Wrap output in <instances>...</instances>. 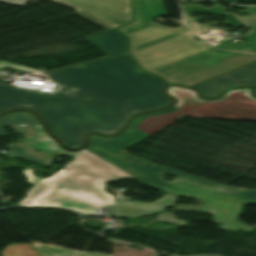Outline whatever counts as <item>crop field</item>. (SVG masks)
Instances as JSON below:
<instances>
[{"instance_id":"1","label":"crop field","mask_w":256,"mask_h":256,"mask_svg":"<svg viewBox=\"0 0 256 256\" xmlns=\"http://www.w3.org/2000/svg\"><path fill=\"white\" fill-rule=\"evenodd\" d=\"M46 74L57 83L51 93L0 84V112L37 111L70 149L83 144L86 131L112 134L130 115L171 103L161 93L166 83L142 72L126 53Z\"/></svg>"},{"instance_id":"2","label":"crop field","mask_w":256,"mask_h":256,"mask_svg":"<svg viewBox=\"0 0 256 256\" xmlns=\"http://www.w3.org/2000/svg\"><path fill=\"white\" fill-rule=\"evenodd\" d=\"M136 21L120 30L131 39V54L145 68L169 82L187 86L256 60V33L247 44L215 47L195 40L185 27L156 24L166 15L162 0H135Z\"/></svg>"},{"instance_id":"3","label":"crop field","mask_w":256,"mask_h":256,"mask_svg":"<svg viewBox=\"0 0 256 256\" xmlns=\"http://www.w3.org/2000/svg\"><path fill=\"white\" fill-rule=\"evenodd\" d=\"M177 109L173 106L164 111L138 116L126 131L112 139L91 135V143L86 149L132 174L139 181L150 184L164 192L205 200L201 208L180 206L176 209L214 214L213 222L223 223L224 225L221 228L224 229L251 230L250 227L236 223L234 220L244 203H256V190H245L217 184L157 166L149 161L124 153L126 148L150 136L136 129L144 118L166 114ZM160 172L168 173L177 178L171 182L162 181L156 177Z\"/></svg>"},{"instance_id":"4","label":"crop field","mask_w":256,"mask_h":256,"mask_svg":"<svg viewBox=\"0 0 256 256\" xmlns=\"http://www.w3.org/2000/svg\"><path fill=\"white\" fill-rule=\"evenodd\" d=\"M48 179H39L19 205H48L96 215L100 207L113 204L114 196L105 192V182L132 176L87 150Z\"/></svg>"},{"instance_id":"5","label":"crop field","mask_w":256,"mask_h":256,"mask_svg":"<svg viewBox=\"0 0 256 256\" xmlns=\"http://www.w3.org/2000/svg\"><path fill=\"white\" fill-rule=\"evenodd\" d=\"M76 9V15L108 30L132 21L130 0H53Z\"/></svg>"},{"instance_id":"6","label":"crop field","mask_w":256,"mask_h":256,"mask_svg":"<svg viewBox=\"0 0 256 256\" xmlns=\"http://www.w3.org/2000/svg\"><path fill=\"white\" fill-rule=\"evenodd\" d=\"M189 115L256 120V99L249 96L248 88L232 89L221 99L211 101Z\"/></svg>"},{"instance_id":"7","label":"crop field","mask_w":256,"mask_h":256,"mask_svg":"<svg viewBox=\"0 0 256 256\" xmlns=\"http://www.w3.org/2000/svg\"><path fill=\"white\" fill-rule=\"evenodd\" d=\"M168 93L177 99L175 106L179 110L166 115L145 119L138 126V129L151 134L207 102L197 98L195 91L188 89L169 87Z\"/></svg>"},{"instance_id":"8","label":"crop field","mask_w":256,"mask_h":256,"mask_svg":"<svg viewBox=\"0 0 256 256\" xmlns=\"http://www.w3.org/2000/svg\"><path fill=\"white\" fill-rule=\"evenodd\" d=\"M249 84L256 87V62L237 70L201 82L193 87L202 91V96H217L220 91L229 86Z\"/></svg>"},{"instance_id":"9","label":"crop field","mask_w":256,"mask_h":256,"mask_svg":"<svg viewBox=\"0 0 256 256\" xmlns=\"http://www.w3.org/2000/svg\"><path fill=\"white\" fill-rule=\"evenodd\" d=\"M178 196L163 194L160 200L152 203H141L127 200L122 203L106 207L105 215L141 217L159 211L166 206H172Z\"/></svg>"},{"instance_id":"10","label":"crop field","mask_w":256,"mask_h":256,"mask_svg":"<svg viewBox=\"0 0 256 256\" xmlns=\"http://www.w3.org/2000/svg\"><path fill=\"white\" fill-rule=\"evenodd\" d=\"M183 8H184V17H185L186 23L197 34H202L206 31H208L209 26L207 24H205V25L196 24L197 21L202 20L201 17L190 19L189 14L191 11L216 14L219 16L226 17L228 19V21L226 23H224V22H218V23L232 24V25H236V26H240V27H247L239 19H237L234 16V14L225 12L224 8H222L216 4H215L214 8H205V7H202L199 5L183 6ZM212 24H215V23H212Z\"/></svg>"},{"instance_id":"11","label":"crop field","mask_w":256,"mask_h":256,"mask_svg":"<svg viewBox=\"0 0 256 256\" xmlns=\"http://www.w3.org/2000/svg\"><path fill=\"white\" fill-rule=\"evenodd\" d=\"M21 124H24L25 126H21ZM36 124H39V122L36 119L35 115L22 111H15L0 117V135L6 134L4 131L1 130V127L3 125H10L16 131L22 133L26 140H28L36 136L35 129H33L34 125Z\"/></svg>"},{"instance_id":"12","label":"crop field","mask_w":256,"mask_h":256,"mask_svg":"<svg viewBox=\"0 0 256 256\" xmlns=\"http://www.w3.org/2000/svg\"><path fill=\"white\" fill-rule=\"evenodd\" d=\"M86 38L107 56L126 51V38L116 29L86 36Z\"/></svg>"},{"instance_id":"13","label":"crop field","mask_w":256,"mask_h":256,"mask_svg":"<svg viewBox=\"0 0 256 256\" xmlns=\"http://www.w3.org/2000/svg\"><path fill=\"white\" fill-rule=\"evenodd\" d=\"M6 148L10 149V151L5 154L6 156L11 157L13 155H16L48 166L51 165L54 157L53 155L45 152L32 151L33 149H38L21 142L9 144L8 146H6Z\"/></svg>"},{"instance_id":"14","label":"crop field","mask_w":256,"mask_h":256,"mask_svg":"<svg viewBox=\"0 0 256 256\" xmlns=\"http://www.w3.org/2000/svg\"><path fill=\"white\" fill-rule=\"evenodd\" d=\"M37 136L24 142L33 147H36L42 151L48 152L53 155H75L73 152L64 151L59 145H57L43 130L41 125H36Z\"/></svg>"},{"instance_id":"15","label":"crop field","mask_w":256,"mask_h":256,"mask_svg":"<svg viewBox=\"0 0 256 256\" xmlns=\"http://www.w3.org/2000/svg\"><path fill=\"white\" fill-rule=\"evenodd\" d=\"M32 246L41 256H111L102 253L78 252L41 243L32 244Z\"/></svg>"},{"instance_id":"16","label":"crop field","mask_w":256,"mask_h":256,"mask_svg":"<svg viewBox=\"0 0 256 256\" xmlns=\"http://www.w3.org/2000/svg\"><path fill=\"white\" fill-rule=\"evenodd\" d=\"M31 248L30 244H14L4 247L0 253L2 256H40Z\"/></svg>"},{"instance_id":"17","label":"crop field","mask_w":256,"mask_h":256,"mask_svg":"<svg viewBox=\"0 0 256 256\" xmlns=\"http://www.w3.org/2000/svg\"><path fill=\"white\" fill-rule=\"evenodd\" d=\"M241 8H248L249 11H244V12H249L250 16H240L241 19L249 24L252 28L253 31H256V7H242V6H237Z\"/></svg>"},{"instance_id":"18","label":"crop field","mask_w":256,"mask_h":256,"mask_svg":"<svg viewBox=\"0 0 256 256\" xmlns=\"http://www.w3.org/2000/svg\"><path fill=\"white\" fill-rule=\"evenodd\" d=\"M156 220H164V221L176 223V224L183 225V226H185V224H186V221L176 220L174 214H167V213H163V214L159 215V217L156 218Z\"/></svg>"},{"instance_id":"19","label":"crop field","mask_w":256,"mask_h":256,"mask_svg":"<svg viewBox=\"0 0 256 256\" xmlns=\"http://www.w3.org/2000/svg\"><path fill=\"white\" fill-rule=\"evenodd\" d=\"M3 66H7V67L23 70V71H28V72H32V73L40 72L38 70H34V69L27 68V67L15 65V64H12V63L0 61V67H3Z\"/></svg>"},{"instance_id":"20","label":"crop field","mask_w":256,"mask_h":256,"mask_svg":"<svg viewBox=\"0 0 256 256\" xmlns=\"http://www.w3.org/2000/svg\"><path fill=\"white\" fill-rule=\"evenodd\" d=\"M26 176L28 177L27 180L31 183H34L37 179V177H34L32 174H31V169H27V170H24L23 171Z\"/></svg>"},{"instance_id":"21","label":"crop field","mask_w":256,"mask_h":256,"mask_svg":"<svg viewBox=\"0 0 256 256\" xmlns=\"http://www.w3.org/2000/svg\"><path fill=\"white\" fill-rule=\"evenodd\" d=\"M1 1H5V2H9V3L21 5V6H23V4L26 2V0H1Z\"/></svg>"}]
</instances>
